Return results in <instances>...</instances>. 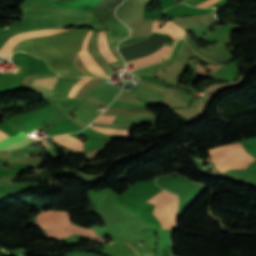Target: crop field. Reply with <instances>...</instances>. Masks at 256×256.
Returning a JSON list of instances; mask_svg holds the SVG:
<instances>
[{
  "instance_id": "1",
  "label": "crop field",
  "mask_w": 256,
  "mask_h": 256,
  "mask_svg": "<svg viewBox=\"0 0 256 256\" xmlns=\"http://www.w3.org/2000/svg\"><path fill=\"white\" fill-rule=\"evenodd\" d=\"M177 199V196L163 190L149 200L156 205L153 214L160 220L163 229H173L175 226Z\"/></svg>"
},
{
  "instance_id": "2",
  "label": "crop field",
  "mask_w": 256,
  "mask_h": 256,
  "mask_svg": "<svg viewBox=\"0 0 256 256\" xmlns=\"http://www.w3.org/2000/svg\"><path fill=\"white\" fill-rule=\"evenodd\" d=\"M69 29H48V30H39V31H31V32H24L19 33L11 36L1 47L0 54L5 57H10L11 52L14 46L19 43L20 41L28 38L39 37L43 35H48L56 32H61Z\"/></svg>"
},
{
  "instance_id": "3",
  "label": "crop field",
  "mask_w": 256,
  "mask_h": 256,
  "mask_svg": "<svg viewBox=\"0 0 256 256\" xmlns=\"http://www.w3.org/2000/svg\"><path fill=\"white\" fill-rule=\"evenodd\" d=\"M143 6L125 3L118 11V15L129 24L143 19Z\"/></svg>"
},
{
  "instance_id": "4",
  "label": "crop field",
  "mask_w": 256,
  "mask_h": 256,
  "mask_svg": "<svg viewBox=\"0 0 256 256\" xmlns=\"http://www.w3.org/2000/svg\"><path fill=\"white\" fill-rule=\"evenodd\" d=\"M8 136L7 134L0 131V139ZM33 139L29 138L24 131L17 133L15 136H8L0 140V149H7L11 147L21 146L23 144L29 143Z\"/></svg>"
},
{
  "instance_id": "5",
  "label": "crop field",
  "mask_w": 256,
  "mask_h": 256,
  "mask_svg": "<svg viewBox=\"0 0 256 256\" xmlns=\"http://www.w3.org/2000/svg\"><path fill=\"white\" fill-rule=\"evenodd\" d=\"M91 33H92V31L89 30V32L84 40L82 51L79 52V56L81 57L82 61L84 62V64L90 71H92L96 75H103L104 72L102 74V71H101L102 69L97 65V63L92 59V57L87 52V43L89 41Z\"/></svg>"
},
{
  "instance_id": "6",
  "label": "crop field",
  "mask_w": 256,
  "mask_h": 256,
  "mask_svg": "<svg viewBox=\"0 0 256 256\" xmlns=\"http://www.w3.org/2000/svg\"><path fill=\"white\" fill-rule=\"evenodd\" d=\"M176 41H177V40L175 39L174 42H173V44H172V46L169 47V49H168V46L164 45V46L161 47L159 50H157L155 53H153V54H151V55H149V56H146V57H142V58L136 59L137 63L144 62V61H148V60H150V59H153V58H155V57H158V56L164 54V53L167 51V49H168V51H167L163 56H160V57H158V58H155V59L150 60V61L145 62V63L138 64V66H139V67H141V66H146V65L151 64V63H153V62L161 61V60L167 58V57L169 56V54H170V52H171V50H172V48H173V46H174V43H175ZM126 63H136V62H135V60H133V61H128V62H126ZM137 63H136V64H137Z\"/></svg>"
},
{
  "instance_id": "7",
  "label": "crop field",
  "mask_w": 256,
  "mask_h": 256,
  "mask_svg": "<svg viewBox=\"0 0 256 256\" xmlns=\"http://www.w3.org/2000/svg\"><path fill=\"white\" fill-rule=\"evenodd\" d=\"M98 49L108 63L116 61L115 57L109 51V48L107 46L106 39H105V31H99Z\"/></svg>"
},
{
  "instance_id": "8",
  "label": "crop field",
  "mask_w": 256,
  "mask_h": 256,
  "mask_svg": "<svg viewBox=\"0 0 256 256\" xmlns=\"http://www.w3.org/2000/svg\"><path fill=\"white\" fill-rule=\"evenodd\" d=\"M158 24L159 22L155 21V24L153 26V30L152 31H162L165 33H169V34H174V35H178L183 37L184 36V31L183 29H181L180 27L176 26L174 23L168 21L166 22L161 29L158 28Z\"/></svg>"
},
{
  "instance_id": "9",
  "label": "crop field",
  "mask_w": 256,
  "mask_h": 256,
  "mask_svg": "<svg viewBox=\"0 0 256 256\" xmlns=\"http://www.w3.org/2000/svg\"><path fill=\"white\" fill-rule=\"evenodd\" d=\"M66 135L74 139V137H72L68 134H66ZM67 136H65V135L57 136V137H54L53 140L65 145V146H68L70 148L77 149V150H82L84 143H81L80 142L81 140H78L76 138L73 140V139H71Z\"/></svg>"
},
{
  "instance_id": "10",
  "label": "crop field",
  "mask_w": 256,
  "mask_h": 256,
  "mask_svg": "<svg viewBox=\"0 0 256 256\" xmlns=\"http://www.w3.org/2000/svg\"><path fill=\"white\" fill-rule=\"evenodd\" d=\"M37 149L38 147H35V148L21 147L17 149L8 150V157L27 155V153L37 152Z\"/></svg>"
},
{
  "instance_id": "11",
  "label": "crop field",
  "mask_w": 256,
  "mask_h": 256,
  "mask_svg": "<svg viewBox=\"0 0 256 256\" xmlns=\"http://www.w3.org/2000/svg\"><path fill=\"white\" fill-rule=\"evenodd\" d=\"M58 77L59 76H55V77L48 78V79L33 80V84L32 85H39V86H43L45 88H48V89L52 90L56 80L58 79Z\"/></svg>"
},
{
  "instance_id": "12",
  "label": "crop field",
  "mask_w": 256,
  "mask_h": 256,
  "mask_svg": "<svg viewBox=\"0 0 256 256\" xmlns=\"http://www.w3.org/2000/svg\"><path fill=\"white\" fill-rule=\"evenodd\" d=\"M93 78L91 77H83L81 78L74 86L73 88L70 90L68 97L74 98L75 95L77 94V92L80 90V88L86 84L87 82H89L90 80H92ZM82 89V88H81Z\"/></svg>"
},
{
  "instance_id": "13",
  "label": "crop field",
  "mask_w": 256,
  "mask_h": 256,
  "mask_svg": "<svg viewBox=\"0 0 256 256\" xmlns=\"http://www.w3.org/2000/svg\"><path fill=\"white\" fill-rule=\"evenodd\" d=\"M242 144L248 152H250L254 157H256V138L242 141Z\"/></svg>"
},
{
  "instance_id": "14",
  "label": "crop field",
  "mask_w": 256,
  "mask_h": 256,
  "mask_svg": "<svg viewBox=\"0 0 256 256\" xmlns=\"http://www.w3.org/2000/svg\"><path fill=\"white\" fill-rule=\"evenodd\" d=\"M115 116H102L100 115L95 121L102 123H113Z\"/></svg>"
},
{
  "instance_id": "15",
  "label": "crop field",
  "mask_w": 256,
  "mask_h": 256,
  "mask_svg": "<svg viewBox=\"0 0 256 256\" xmlns=\"http://www.w3.org/2000/svg\"><path fill=\"white\" fill-rule=\"evenodd\" d=\"M217 0H207V1H205V2H203V3H201V4H198V5H196V6H199V7H206V6H209V5H211V4H213L214 2H216Z\"/></svg>"
},
{
  "instance_id": "16",
  "label": "crop field",
  "mask_w": 256,
  "mask_h": 256,
  "mask_svg": "<svg viewBox=\"0 0 256 256\" xmlns=\"http://www.w3.org/2000/svg\"><path fill=\"white\" fill-rule=\"evenodd\" d=\"M129 244H131V245L134 247V245H133L132 243H129ZM131 245H130V246H131ZM134 248H135V247H134ZM135 250L138 252L139 255H141V254L139 253V251H138L136 248H135Z\"/></svg>"
},
{
  "instance_id": "17",
  "label": "crop field",
  "mask_w": 256,
  "mask_h": 256,
  "mask_svg": "<svg viewBox=\"0 0 256 256\" xmlns=\"http://www.w3.org/2000/svg\"><path fill=\"white\" fill-rule=\"evenodd\" d=\"M163 34V33H162Z\"/></svg>"
}]
</instances>
